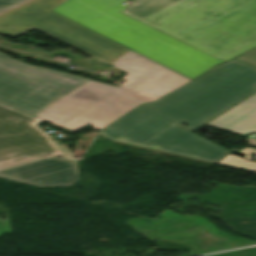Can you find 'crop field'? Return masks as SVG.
I'll use <instances>...</instances> for the list:
<instances>
[{
	"label": "crop field",
	"instance_id": "ac0d7876",
	"mask_svg": "<svg viewBox=\"0 0 256 256\" xmlns=\"http://www.w3.org/2000/svg\"><path fill=\"white\" fill-rule=\"evenodd\" d=\"M122 13L223 61L256 47V0H134Z\"/></svg>",
	"mask_w": 256,
	"mask_h": 256
},
{
	"label": "crop field",
	"instance_id": "e52e79f7",
	"mask_svg": "<svg viewBox=\"0 0 256 256\" xmlns=\"http://www.w3.org/2000/svg\"><path fill=\"white\" fill-rule=\"evenodd\" d=\"M34 116L0 104V168L61 153Z\"/></svg>",
	"mask_w": 256,
	"mask_h": 256
},
{
	"label": "crop field",
	"instance_id": "d1516ede",
	"mask_svg": "<svg viewBox=\"0 0 256 256\" xmlns=\"http://www.w3.org/2000/svg\"><path fill=\"white\" fill-rule=\"evenodd\" d=\"M218 163L228 165V166H232V167H236V168H240V169H244V170H249V171L256 172V163H254L252 161H247L245 159H241L237 156L230 155V154L225 156Z\"/></svg>",
	"mask_w": 256,
	"mask_h": 256
},
{
	"label": "crop field",
	"instance_id": "5142ce71",
	"mask_svg": "<svg viewBox=\"0 0 256 256\" xmlns=\"http://www.w3.org/2000/svg\"><path fill=\"white\" fill-rule=\"evenodd\" d=\"M240 152L246 153L245 158L250 159V160H252V158H250V155H251V154H253V155L256 156V150L251 149V148H246V149H244V150H242V151H240Z\"/></svg>",
	"mask_w": 256,
	"mask_h": 256
},
{
	"label": "crop field",
	"instance_id": "28ad6ade",
	"mask_svg": "<svg viewBox=\"0 0 256 256\" xmlns=\"http://www.w3.org/2000/svg\"><path fill=\"white\" fill-rule=\"evenodd\" d=\"M112 66L128 73L123 79L128 80L123 87H127L160 65L130 51Z\"/></svg>",
	"mask_w": 256,
	"mask_h": 256
},
{
	"label": "crop field",
	"instance_id": "34b2d1b8",
	"mask_svg": "<svg viewBox=\"0 0 256 256\" xmlns=\"http://www.w3.org/2000/svg\"><path fill=\"white\" fill-rule=\"evenodd\" d=\"M124 1L66 0L52 10L189 78L223 62L122 14Z\"/></svg>",
	"mask_w": 256,
	"mask_h": 256
},
{
	"label": "crop field",
	"instance_id": "dd49c442",
	"mask_svg": "<svg viewBox=\"0 0 256 256\" xmlns=\"http://www.w3.org/2000/svg\"><path fill=\"white\" fill-rule=\"evenodd\" d=\"M121 89L90 81L36 117L73 132L90 123L98 132L140 104Z\"/></svg>",
	"mask_w": 256,
	"mask_h": 256
},
{
	"label": "crop field",
	"instance_id": "5a996713",
	"mask_svg": "<svg viewBox=\"0 0 256 256\" xmlns=\"http://www.w3.org/2000/svg\"><path fill=\"white\" fill-rule=\"evenodd\" d=\"M189 79L161 66L119 93L142 103L154 101Z\"/></svg>",
	"mask_w": 256,
	"mask_h": 256
},
{
	"label": "crop field",
	"instance_id": "22f410ed",
	"mask_svg": "<svg viewBox=\"0 0 256 256\" xmlns=\"http://www.w3.org/2000/svg\"><path fill=\"white\" fill-rule=\"evenodd\" d=\"M236 59L256 67V49H254Z\"/></svg>",
	"mask_w": 256,
	"mask_h": 256
},
{
	"label": "crop field",
	"instance_id": "f4fd0767",
	"mask_svg": "<svg viewBox=\"0 0 256 256\" xmlns=\"http://www.w3.org/2000/svg\"><path fill=\"white\" fill-rule=\"evenodd\" d=\"M88 81L0 54V103L34 116Z\"/></svg>",
	"mask_w": 256,
	"mask_h": 256
},
{
	"label": "crop field",
	"instance_id": "d9b57169",
	"mask_svg": "<svg viewBox=\"0 0 256 256\" xmlns=\"http://www.w3.org/2000/svg\"><path fill=\"white\" fill-rule=\"evenodd\" d=\"M247 140H248V142H249L250 145L256 146V143H254V142H255L254 139H248V138H247Z\"/></svg>",
	"mask_w": 256,
	"mask_h": 256
},
{
	"label": "crop field",
	"instance_id": "733c2abd",
	"mask_svg": "<svg viewBox=\"0 0 256 256\" xmlns=\"http://www.w3.org/2000/svg\"><path fill=\"white\" fill-rule=\"evenodd\" d=\"M131 1H133V0H131Z\"/></svg>",
	"mask_w": 256,
	"mask_h": 256
},
{
	"label": "crop field",
	"instance_id": "3316defc",
	"mask_svg": "<svg viewBox=\"0 0 256 256\" xmlns=\"http://www.w3.org/2000/svg\"><path fill=\"white\" fill-rule=\"evenodd\" d=\"M206 125L234 134L256 133V94L228 110Z\"/></svg>",
	"mask_w": 256,
	"mask_h": 256
},
{
	"label": "crop field",
	"instance_id": "d8731c3e",
	"mask_svg": "<svg viewBox=\"0 0 256 256\" xmlns=\"http://www.w3.org/2000/svg\"><path fill=\"white\" fill-rule=\"evenodd\" d=\"M0 177L35 186H70L79 179L75 161L54 158L2 170Z\"/></svg>",
	"mask_w": 256,
	"mask_h": 256
},
{
	"label": "crop field",
	"instance_id": "cbeb9de0",
	"mask_svg": "<svg viewBox=\"0 0 256 256\" xmlns=\"http://www.w3.org/2000/svg\"><path fill=\"white\" fill-rule=\"evenodd\" d=\"M24 1L26 0H0V13Z\"/></svg>",
	"mask_w": 256,
	"mask_h": 256
},
{
	"label": "crop field",
	"instance_id": "412701ff",
	"mask_svg": "<svg viewBox=\"0 0 256 256\" xmlns=\"http://www.w3.org/2000/svg\"><path fill=\"white\" fill-rule=\"evenodd\" d=\"M63 1L34 0L1 15L0 34L15 37L34 28L110 65L130 51L51 12Z\"/></svg>",
	"mask_w": 256,
	"mask_h": 256
},
{
	"label": "crop field",
	"instance_id": "8a807250",
	"mask_svg": "<svg viewBox=\"0 0 256 256\" xmlns=\"http://www.w3.org/2000/svg\"><path fill=\"white\" fill-rule=\"evenodd\" d=\"M256 92V69L235 60L217 65L157 101L141 104L98 134L112 141L217 163L228 150L193 130Z\"/></svg>",
	"mask_w": 256,
	"mask_h": 256
}]
</instances>
